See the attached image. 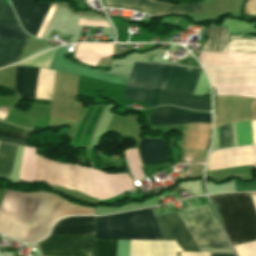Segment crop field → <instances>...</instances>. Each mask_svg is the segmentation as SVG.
<instances>
[{
  "label": "crop field",
  "instance_id": "8a807250",
  "mask_svg": "<svg viewBox=\"0 0 256 256\" xmlns=\"http://www.w3.org/2000/svg\"><path fill=\"white\" fill-rule=\"evenodd\" d=\"M70 215H94V209L70 204L56 195L7 190L0 205V232L25 242L45 238L52 224Z\"/></svg>",
  "mask_w": 256,
  "mask_h": 256
},
{
  "label": "crop field",
  "instance_id": "ac0d7876",
  "mask_svg": "<svg viewBox=\"0 0 256 256\" xmlns=\"http://www.w3.org/2000/svg\"><path fill=\"white\" fill-rule=\"evenodd\" d=\"M162 66L135 64L126 85L124 100L151 106ZM176 66H163L152 106L158 105L159 91L192 95L201 70Z\"/></svg>",
  "mask_w": 256,
  "mask_h": 256
},
{
  "label": "crop field",
  "instance_id": "34b2d1b8",
  "mask_svg": "<svg viewBox=\"0 0 256 256\" xmlns=\"http://www.w3.org/2000/svg\"><path fill=\"white\" fill-rule=\"evenodd\" d=\"M232 245L256 240V211L248 193L210 196Z\"/></svg>",
  "mask_w": 256,
  "mask_h": 256
},
{
  "label": "crop field",
  "instance_id": "412701ff",
  "mask_svg": "<svg viewBox=\"0 0 256 256\" xmlns=\"http://www.w3.org/2000/svg\"><path fill=\"white\" fill-rule=\"evenodd\" d=\"M96 220L95 238L162 240L151 208Z\"/></svg>",
  "mask_w": 256,
  "mask_h": 256
},
{
  "label": "crop field",
  "instance_id": "f4fd0767",
  "mask_svg": "<svg viewBox=\"0 0 256 256\" xmlns=\"http://www.w3.org/2000/svg\"><path fill=\"white\" fill-rule=\"evenodd\" d=\"M198 248L230 249L207 206L179 214Z\"/></svg>",
  "mask_w": 256,
  "mask_h": 256
},
{
  "label": "crop field",
  "instance_id": "dd49c442",
  "mask_svg": "<svg viewBox=\"0 0 256 256\" xmlns=\"http://www.w3.org/2000/svg\"><path fill=\"white\" fill-rule=\"evenodd\" d=\"M211 83L256 82V68L214 69L204 67ZM217 95L256 97V83L212 84Z\"/></svg>",
  "mask_w": 256,
  "mask_h": 256
},
{
  "label": "crop field",
  "instance_id": "e52e79f7",
  "mask_svg": "<svg viewBox=\"0 0 256 256\" xmlns=\"http://www.w3.org/2000/svg\"><path fill=\"white\" fill-rule=\"evenodd\" d=\"M38 245L43 255L92 256L94 235L49 236Z\"/></svg>",
  "mask_w": 256,
  "mask_h": 256
},
{
  "label": "crop field",
  "instance_id": "d8731c3e",
  "mask_svg": "<svg viewBox=\"0 0 256 256\" xmlns=\"http://www.w3.org/2000/svg\"><path fill=\"white\" fill-rule=\"evenodd\" d=\"M104 6L160 15L169 13H196L199 12V3L196 4H171L154 0H104Z\"/></svg>",
  "mask_w": 256,
  "mask_h": 256
},
{
  "label": "crop field",
  "instance_id": "5a996713",
  "mask_svg": "<svg viewBox=\"0 0 256 256\" xmlns=\"http://www.w3.org/2000/svg\"><path fill=\"white\" fill-rule=\"evenodd\" d=\"M24 30L36 36L51 4H37L36 0H10Z\"/></svg>",
  "mask_w": 256,
  "mask_h": 256
},
{
  "label": "crop field",
  "instance_id": "3316defc",
  "mask_svg": "<svg viewBox=\"0 0 256 256\" xmlns=\"http://www.w3.org/2000/svg\"><path fill=\"white\" fill-rule=\"evenodd\" d=\"M155 218L163 240H169L170 237V240H176L183 250L198 251L177 213L163 215L169 237L162 216H156Z\"/></svg>",
  "mask_w": 256,
  "mask_h": 256
},
{
  "label": "crop field",
  "instance_id": "28ad6ade",
  "mask_svg": "<svg viewBox=\"0 0 256 256\" xmlns=\"http://www.w3.org/2000/svg\"><path fill=\"white\" fill-rule=\"evenodd\" d=\"M199 60L202 64L214 67H248L256 66V54L234 53L226 55L201 51Z\"/></svg>",
  "mask_w": 256,
  "mask_h": 256
},
{
  "label": "crop field",
  "instance_id": "d1516ede",
  "mask_svg": "<svg viewBox=\"0 0 256 256\" xmlns=\"http://www.w3.org/2000/svg\"><path fill=\"white\" fill-rule=\"evenodd\" d=\"M180 251L175 241L131 240L130 256H177Z\"/></svg>",
  "mask_w": 256,
  "mask_h": 256
},
{
  "label": "crop field",
  "instance_id": "22f410ed",
  "mask_svg": "<svg viewBox=\"0 0 256 256\" xmlns=\"http://www.w3.org/2000/svg\"><path fill=\"white\" fill-rule=\"evenodd\" d=\"M152 114L158 115H173V116H189V117H204V118H211V113H199L193 112L186 109L174 108L171 106H163L152 112ZM158 115H151L150 120L154 121H162V122H171V123H208L211 124V119H204V118H189V117H173V116H158Z\"/></svg>",
  "mask_w": 256,
  "mask_h": 256
},
{
  "label": "crop field",
  "instance_id": "cbeb9de0",
  "mask_svg": "<svg viewBox=\"0 0 256 256\" xmlns=\"http://www.w3.org/2000/svg\"><path fill=\"white\" fill-rule=\"evenodd\" d=\"M95 217H70L55 224L50 235L94 234Z\"/></svg>",
  "mask_w": 256,
  "mask_h": 256
},
{
  "label": "crop field",
  "instance_id": "5142ce71",
  "mask_svg": "<svg viewBox=\"0 0 256 256\" xmlns=\"http://www.w3.org/2000/svg\"><path fill=\"white\" fill-rule=\"evenodd\" d=\"M0 24L22 30L11 6L3 3H0ZM2 25H0V36L16 38L25 41L27 40L29 35H27L25 32Z\"/></svg>",
  "mask_w": 256,
  "mask_h": 256
},
{
  "label": "crop field",
  "instance_id": "d9b57169",
  "mask_svg": "<svg viewBox=\"0 0 256 256\" xmlns=\"http://www.w3.org/2000/svg\"><path fill=\"white\" fill-rule=\"evenodd\" d=\"M160 104H172L188 109L209 111L206 97L186 96L160 92L159 105Z\"/></svg>",
  "mask_w": 256,
  "mask_h": 256
},
{
  "label": "crop field",
  "instance_id": "733c2abd",
  "mask_svg": "<svg viewBox=\"0 0 256 256\" xmlns=\"http://www.w3.org/2000/svg\"><path fill=\"white\" fill-rule=\"evenodd\" d=\"M139 149L144 164L168 163L162 139H142Z\"/></svg>",
  "mask_w": 256,
  "mask_h": 256
},
{
  "label": "crop field",
  "instance_id": "4a817a6b",
  "mask_svg": "<svg viewBox=\"0 0 256 256\" xmlns=\"http://www.w3.org/2000/svg\"><path fill=\"white\" fill-rule=\"evenodd\" d=\"M37 71H38V68L25 67V72H24V67H16L14 90L18 92L20 97L22 92V82H23V72H24L22 97L34 98Z\"/></svg>",
  "mask_w": 256,
  "mask_h": 256
},
{
  "label": "crop field",
  "instance_id": "bc2a9ffb",
  "mask_svg": "<svg viewBox=\"0 0 256 256\" xmlns=\"http://www.w3.org/2000/svg\"><path fill=\"white\" fill-rule=\"evenodd\" d=\"M24 44V41L0 37V67L17 62Z\"/></svg>",
  "mask_w": 256,
  "mask_h": 256
},
{
  "label": "crop field",
  "instance_id": "214f88e0",
  "mask_svg": "<svg viewBox=\"0 0 256 256\" xmlns=\"http://www.w3.org/2000/svg\"><path fill=\"white\" fill-rule=\"evenodd\" d=\"M0 123H2V122H0ZM10 125L0 124V134H7V135H12V136L24 137V138L27 137L29 131L20 129L17 127H13ZM12 136L0 135V141L27 146L29 135H28L27 139L12 137Z\"/></svg>",
  "mask_w": 256,
  "mask_h": 256
},
{
  "label": "crop field",
  "instance_id": "92a150f3",
  "mask_svg": "<svg viewBox=\"0 0 256 256\" xmlns=\"http://www.w3.org/2000/svg\"><path fill=\"white\" fill-rule=\"evenodd\" d=\"M15 148L16 147L13 145L1 143L0 145V176H5V177L9 176Z\"/></svg>",
  "mask_w": 256,
  "mask_h": 256
},
{
  "label": "crop field",
  "instance_id": "dafd665d",
  "mask_svg": "<svg viewBox=\"0 0 256 256\" xmlns=\"http://www.w3.org/2000/svg\"><path fill=\"white\" fill-rule=\"evenodd\" d=\"M117 240L95 239L93 256H116Z\"/></svg>",
  "mask_w": 256,
  "mask_h": 256
},
{
  "label": "crop field",
  "instance_id": "00972430",
  "mask_svg": "<svg viewBox=\"0 0 256 256\" xmlns=\"http://www.w3.org/2000/svg\"><path fill=\"white\" fill-rule=\"evenodd\" d=\"M217 134H218L219 149L234 147L231 123L218 128ZM234 142H235V138H234Z\"/></svg>",
  "mask_w": 256,
  "mask_h": 256
},
{
  "label": "crop field",
  "instance_id": "a9b5d70f",
  "mask_svg": "<svg viewBox=\"0 0 256 256\" xmlns=\"http://www.w3.org/2000/svg\"><path fill=\"white\" fill-rule=\"evenodd\" d=\"M238 256H256V241L233 246Z\"/></svg>",
  "mask_w": 256,
  "mask_h": 256
},
{
  "label": "crop field",
  "instance_id": "4177f3b9",
  "mask_svg": "<svg viewBox=\"0 0 256 256\" xmlns=\"http://www.w3.org/2000/svg\"><path fill=\"white\" fill-rule=\"evenodd\" d=\"M211 256H235L233 253H210ZM181 256H210L209 253L181 252Z\"/></svg>",
  "mask_w": 256,
  "mask_h": 256
},
{
  "label": "crop field",
  "instance_id": "730fd06b",
  "mask_svg": "<svg viewBox=\"0 0 256 256\" xmlns=\"http://www.w3.org/2000/svg\"><path fill=\"white\" fill-rule=\"evenodd\" d=\"M256 15V0H248L245 4V13Z\"/></svg>",
  "mask_w": 256,
  "mask_h": 256
},
{
  "label": "crop field",
  "instance_id": "eef30255",
  "mask_svg": "<svg viewBox=\"0 0 256 256\" xmlns=\"http://www.w3.org/2000/svg\"><path fill=\"white\" fill-rule=\"evenodd\" d=\"M252 128H253V144H256V120L252 121Z\"/></svg>",
  "mask_w": 256,
  "mask_h": 256
},
{
  "label": "crop field",
  "instance_id": "ae1a2a85",
  "mask_svg": "<svg viewBox=\"0 0 256 256\" xmlns=\"http://www.w3.org/2000/svg\"><path fill=\"white\" fill-rule=\"evenodd\" d=\"M252 198H253V201H254V204H255V207H256V192L254 193H250Z\"/></svg>",
  "mask_w": 256,
  "mask_h": 256
},
{
  "label": "crop field",
  "instance_id": "d3111659",
  "mask_svg": "<svg viewBox=\"0 0 256 256\" xmlns=\"http://www.w3.org/2000/svg\"><path fill=\"white\" fill-rule=\"evenodd\" d=\"M254 157H255V167H256V146H254Z\"/></svg>",
  "mask_w": 256,
  "mask_h": 256
},
{
  "label": "crop field",
  "instance_id": "750c4746",
  "mask_svg": "<svg viewBox=\"0 0 256 256\" xmlns=\"http://www.w3.org/2000/svg\"><path fill=\"white\" fill-rule=\"evenodd\" d=\"M164 54V53H163Z\"/></svg>",
  "mask_w": 256,
  "mask_h": 256
}]
</instances>
